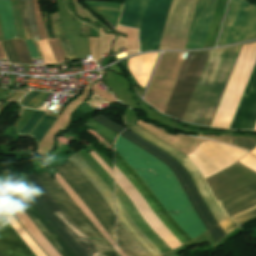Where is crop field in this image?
I'll return each mask as SVG.
<instances>
[{
  "mask_svg": "<svg viewBox=\"0 0 256 256\" xmlns=\"http://www.w3.org/2000/svg\"><path fill=\"white\" fill-rule=\"evenodd\" d=\"M215 1L216 0H198L185 49H198L203 47Z\"/></svg>",
  "mask_w": 256,
  "mask_h": 256,
  "instance_id": "crop-field-14",
  "label": "crop field"
},
{
  "mask_svg": "<svg viewBox=\"0 0 256 256\" xmlns=\"http://www.w3.org/2000/svg\"><path fill=\"white\" fill-rule=\"evenodd\" d=\"M115 149L192 240L207 231L176 177L164 163L120 135Z\"/></svg>",
  "mask_w": 256,
  "mask_h": 256,
  "instance_id": "crop-field-1",
  "label": "crop field"
},
{
  "mask_svg": "<svg viewBox=\"0 0 256 256\" xmlns=\"http://www.w3.org/2000/svg\"><path fill=\"white\" fill-rule=\"evenodd\" d=\"M92 119L96 120L97 122L101 123L102 125L106 126L107 128H109L110 130L114 131L117 134L125 129L100 114Z\"/></svg>",
  "mask_w": 256,
  "mask_h": 256,
  "instance_id": "crop-field-35",
  "label": "crop field"
},
{
  "mask_svg": "<svg viewBox=\"0 0 256 256\" xmlns=\"http://www.w3.org/2000/svg\"><path fill=\"white\" fill-rule=\"evenodd\" d=\"M147 0H125L119 24L140 29Z\"/></svg>",
  "mask_w": 256,
  "mask_h": 256,
  "instance_id": "crop-field-21",
  "label": "crop field"
},
{
  "mask_svg": "<svg viewBox=\"0 0 256 256\" xmlns=\"http://www.w3.org/2000/svg\"><path fill=\"white\" fill-rule=\"evenodd\" d=\"M7 206L4 204V202L1 200L0 198V213L4 210H7ZM11 212V211H10ZM12 213V212H11ZM2 215V213H1ZM12 215L14 216V214L12 213ZM3 216V215H2ZM4 217V216H3ZM15 217V216H14ZM15 219L17 220V218L15 217ZM18 221V220H17ZM19 223V222H18ZM20 224V223H19ZM21 225V224H20ZM22 227V226H21ZM23 228V227H22ZM24 229V228H23ZM25 230V229H24ZM26 231V230H25ZM27 232V231H26ZM31 237V236H30ZM21 238V237H20ZM32 238V237H31ZM22 239V238H21ZM26 244V243H25ZM27 245V244H26ZM38 245V244H37ZM28 246V245H27ZM29 248V247H28ZM30 249V248H29ZM45 253V252H44Z\"/></svg>",
  "mask_w": 256,
  "mask_h": 256,
  "instance_id": "crop-field-46",
  "label": "crop field"
},
{
  "mask_svg": "<svg viewBox=\"0 0 256 256\" xmlns=\"http://www.w3.org/2000/svg\"><path fill=\"white\" fill-rule=\"evenodd\" d=\"M2 104H3V102L0 101V107H1Z\"/></svg>",
  "mask_w": 256,
  "mask_h": 256,
  "instance_id": "crop-field-52",
  "label": "crop field"
},
{
  "mask_svg": "<svg viewBox=\"0 0 256 256\" xmlns=\"http://www.w3.org/2000/svg\"><path fill=\"white\" fill-rule=\"evenodd\" d=\"M239 46L209 51L183 121L209 125Z\"/></svg>",
  "mask_w": 256,
  "mask_h": 256,
  "instance_id": "crop-field-2",
  "label": "crop field"
},
{
  "mask_svg": "<svg viewBox=\"0 0 256 256\" xmlns=\"http://www.w3.org/2000/svg\"><path fill=\"white\" fill-rule=\"evenodd\" d=\"M50 16H51L55 36L59 38L60 43H61L68 59L75 60L76 59L75 52L72 48L70 41L69 40L67 41V39H66L62 24L60 22L59 14L54 13V14H50Z\"/></svg>",
  "mask_w": 256,
  "mask_h": 256,
  "instance_id": "crop-field-29",
  "label": "crop field"
},
{
  "mask_svg": "<svg viewBox=\"0 0 256 256\" xmlns=\"http://www.w3.org/2000/svg\"><path fill=\"white\" fill-rule=\"evenodd\" d=\"M118 246L127 256H148L117 222Z\"/></svg>",
  "mask_w": 256,
  "mask_h": 256,
  "instance_id": "crop-field-28",
  "label": "crop field"
},
{
  "mask_svg": "<svg viewBox=\"0 0 256 256\" xmlns=\"http://www.w3.org/2000/svg\"><path fill=\"white\" fill-rule=\"evenodd\" d=\"M120 135H122L123 137H125L126 139L131 141L132 143L136 144L137 146H139L146 152L150 153L154 157L160 159L173 171L175 176L178 178L183 190L185 191L186 195L188 196L189 200L191 201L193 207L195 208L198 216L203 221L204 225L206 226L209 234L211 235V237L213 238L215 243L222 236L225 235L224 232L222 231V229L217 225L215 220L209 214V212H208L206 206L204 205L201 197L199 196L192 180L190 179V177L188 176V174L186 173L184 168L177 161H175L169 155L158 150L154 146L150 145L144 139H142L138 135L130 132L129 130H125Z\"/></svg>",
  "mask_w": 256,
  "mask_h": 256,
  "instance_id": "crop-field-3",
  "label": "crop field"
},
{
  "mask_svg": "<svg viewBox=\"0 0 256 256\" xmlns=\"http://www.w3.org/2000/svg\"><path fill=\"white\" fill-rule=\"evenodd\" d=\"M256 101V65L230 129H244ZM256 123V103L245 129H253Z\"/></svg>",
  "mask_w": 256,
  "mask_h": 256,
  "instance_id": "crop-field-15",
  "label": "crop field"
},
{
  "mask_svg": "<svg viewBox=\"0 0 256 256\" xmlns=\"http://www.w3.org/2000/svg\"><path fill=\"white\" fill-rule=\"evenodd\" d=\"M40 92L31 91L25 97H23L19 104L22 106L27 105L34 97H36Z\"/></svg>",
  "mask_w": 256,
  "mask_h": 256,
  "instance_id": "crop-field-43",
  "label": "crop field"
},
{
  "mask_svg": "<svg viewBox=\"0 0 256 256\" xmlns=\"http://www.w3.org/2000/svg\"><path fill=\"white\" fill-rule=\"evenodd\" d=\"M44 15H45V24H44V26H45L47 38L48 39L55 38L54 34H53V31H52V28H51V25H50V22H49L47 11L44 12Z\"/></svg>",
  "mask_w": 256,
  "mask_h": 256,
  "instance_id": "crop-field-42",
  "label": "crop field"
},
{
  "mask_svg": "<svg viewBox=\"0 0 256 256\" xmlns=\"http://www.w3.org/2000/svg\"><path fill=\"white\" fill-rule=\"evenodd\" d=\"M49 95H50L49 93L41 92L26 107L36 109Z\"/></svg>",
  "mask_w": 256,
  "mask_h": 256,
  "instance_id": "crop-field-39",
  "label": "crop field"
},
{
  "mask_svg": "<svg viewBox=\"0 0 256 256\" xmlns=\"http://www.w3.org/2000/svg\"><path fill=\"white\" fill-rule=\"evenodd\" d=\"M114 196L117 198L134 225L161 251L162 254L168 250H171V248L163 240H161L141 218L133 204L116 185V183Z\"/></svg>",
  "mask_w": 256,
  "mask_h": 256,
  "instance_id": "crop-field-17",
  "label": "crop field"
},
{
  "mask_svg": "<svg viewBox=\"0 0 256 256\" xmlns=\"http://www.w3.org/2000/svg\"><path fill=\"white\" fill-rule=\"evenodd\" d=\"M20 63L32 64L23 40H12Z\"/></svg>",
  "mask_w": 256,
  "mask_h": 256,
  "instance_id": "crop-field-33",
  "label": "crop field"
},
{
  "mask_svg": "<svg viewBox=\"0 0 256 256\" xmlns=\"http://www.w3.org/2000/svg\"><path fill=\"white\" fill-rule=\"evenodd\" d=\"M90 154L97 160V162L104 168V170L110 175V177L113 179L112 177V171L109 169V167L104 163V161L98 157L92 150L89 151Z\"/></svg>",
  "mask_w": 256,
  "mask_h": 256,
  "instance_id": "crop-field-45",
  "label": "crop field"
},
{
  "mask_svg": "<svg viewBox=\"0 0 256 256\" xmlns=\"http://www.w3.org/2000/svg\"><path fill=\"white\" fill-rule=\"evenodd\" d=\"M9 103L4 102V104L2 105V107L0 108V115L2 114V112L5 110V108L8 106Z\"/></svg>",
  "mask_w": 256,
  "mask_h": 256,
  "instance_id": "crop-field-49",
  "label": "crop field"
},
{
  "mask_svg": "<svg viewBox=\"0 0 256 256\" xmlns=\"http://www.w3.org/2000/svg\"><path fill=\"white\" fill-rule=\"evenodd\" d=\"M114 200L118 211L117 220L121 226L141 245V247L150 256H161L162 254L159 252V250L133 225L115 197Z\"/></svg>",
  "mask_w": 256,
  "mask_h": 256,
  "instance_id": "crop-field-20",
  "label": "crop field"
},
{
  "mask_svg": "<svg viewBox=\"0 0 256 256\" xmlns=\"http://www.w3.org/2000/svg\"><path fill=\"white\" fill-rule=\"evenodd\" d=\"M24 41H25V44H26V47L28 49L30 57L31 58H40L39 54H38V52H37V50L35 48L34 43L31 42V41H26V40H24Z\"/></svg>",
  "mask_w": 256,
  "mask_h": 256,
  "instance_id": "crop-field-41",
  "label": "crop field"
},
{
  "mask_svg": "<svg viewBox=\"0 0 256 256\" xmlns=\"http://www.w3.org/2000/svg\"><path fill=\"white\" fill-rule=\"evenodd\" d=\"M73 165H75L95 186V188L100 192V194L105 198V200L110 205L111 209L115 213V207L112 199V193L103 184V182L97 177V175L77 156V154H72L67 158Z\"/></svg>",
  "mask_w": 256,
  "mask_h": 256,
  "instance_id": "crop-field-24",
  "label": "crop field"
},
{
  "mask_svg": "<svg viewBox=\"0 0 256 256\" xmlns=\"http://www.w3.org/2000/svg\"><path fill=\"white\" fill-rule=\"evenodd\" d=\"M232 144L245 147L249 150L256 147V142L251 141V140L235 139V140L232 141Z\"/></svg>",
  "mask_w": 256,
  "mask_h": 256,
  "instance_id": "crop-field-40",
  "label": "crop field"
},
{
  "mask_svg": "<svg viewBox=\"0 0 256 256\" xmlns=\"http://www.w3.org/2000/svg\"><path fill=\"white\" fill-rule=\"evenodd\" d=\"M218 203L237 226L256 218V182L218 200Z\"/></svg>",
  "mask_w": 256,
  "mask_h": 256,
  "instance_id": "crop-field-13",
  "label": "crop field"
},
{
  "mask_svg": "<svg viewBox=\"0 0 256 256\" xmlns=\"http://www.w3.org/2000/svg\"><path fill=\"white\" fill-rule=\"evenodd\" d=\"M55 178L57 182L61 185V187L66 191V193L72 198V200L79 206V208L85 213V215L90 219V221L94 224V226L105 236V238L109 241L112 247L116 251V246L105 231V229L101 226V224L96 220V218L91 214V212L87 209V207L83 204V202L79 199V197L74 193V191L68 186V184L61 178L58 173H55Z\"/></svg>",
  "mask_w": 256,
  "mask_h": 256,
  "instance_id": "crop-field-27",
  "label": "crop field"
},
{
  "mask_svg": "<svg viewBox=\"0 0 256 256\" xmlns=\"http://www.w3.org/2000/svg\"><path fill=\"white\" fill-rule=\"evenodd\" d=\"M45 114L44 111H41L40 114L37 116V118L34 120V122L29 126V128L22 134V136L27 137L29 133L34 129V127L38 124V122L41 120L43 115Z\"/></svg>",
  "mask_w": 256,
  "mask_h": 256,
  "instance_id": "crop-field-44",
  "label": "crop field"
},
{
  "mask_svg": "<svg viewBox=\"0 0 256 256\" xmlns=\"http://www.w3.org/2000/svg\"><path fill=\"white\" fill-rule=\"evenodd\" d=\"M118 250H119V254L121 255V256H126L125 254H124V252L118 247Z\"/></svg>",
  "mask_w": 256,
  "mask_h": 256,
  "instance_id": "crop-field-51",
  "label": "crop field"
},
{
  "mask_svg": "<svg viewBox=\"0 0 256 256\" xmlns=\"http://www.w3.org/2000/svg\"><path fill=\"white\" fill-rule=\"evenodd\" d=\"M26 1V6H27V12H28V19H29V24L31 28V33H32V38L33 40H40L35 19H34V13H33V7L31 4V0H25Z\"/></svg>",
  "mask_w": 256,
  "mask_h": 256,
  "instance_id": "crop-field-34",
  "label": "crop field"
},
{
  "mask_svg": "<svg viewBox=\"0 0 256 256\" xmlns=\"http://www.w3.org/2000/svg\"><path fill=\"white\" fill-rule=\"evenodd\" d=\"M172 0H148L142 21L140 52L158 50Z\"/></svg>",
  "mask_w": 256,
  "mask_h": 256,
  "instance_id": "crop-field-8",
  "label": "crop field"
},
{
  "mask_svg": "<svg viewBox=\"0 0 256 256\" xmlns=\"http://www.w3.org/2000/svg\"><path fill=\"white\" fill-rule=\"evenodd\" d=\"M27 199L33 204L36 212L41 218L49 225L59 239L65 244V246L72 252L74 256H87L77 242L64 230L54 216L43 205L39 198L34 195L26 196Z\"/></svg>",
  "mask_w": 256,
  "mask_h": 256,
  "instance_id": "crop-field-16",
  "label": "crop field"
},
{
  "mask_svg": "<svg viewBox=\"0 0 256 256\" xmlns=\"http://www.w3.org/2000/svg\"><path fill=\"white\" fill-rule=\"evenodd\" d=\"M56 120L55 117L44 115L42 120L39 122V124L35 127V129L31 132L29 137H32L35 139L37 145L43 138V136L46 134L48 129L51 127V125Z\"/></svg>",
  "mask_w": 256,
  "mask_h": 256,
  "instance_id": "crop-field-31",
  "label": "crop field"
},
{
  "mask_svg": "<svg viewBox=\"0 0 256 256\" xmlns=\"http://www.w3.org/2000/svg\"><path fill=\"white\" fill-rule=\"evenodd\" d=\"M28 233L33 237V239L39 244V246L46 252L48 256H60L57 251L49 244V242L44 238L32 221L27 217L21 207L10 209Z\"/></svg>",
  "mask_w": 256,
  "mask_h": 256,
  "instance_id": "crop-field-23",
  "label": "crop field"
},
{
  "mask_svg": "<svg viewBox=\"0 0 256 256\" xmlns=\"http://www.w3.org/2000/svg\"><path fill=\"white\" fill-rule=\"evenodd\" d=\"M84 125L92 128L94 131H96L100 136H102L105 140H107L110 144L113 145L115 137L117 134H115L114 132L110 131L109 129H107L106 127L102 126L101 124L93 121V120H89L87 121ZM87 127V128H88ZM89 128V129H90ZM91 129V130H92ZM111 145V146H112Z\"/></svg>",
  "mask_w": 256,
  "mask_h": 256,
  "instance_id": "crop-field-32",
  "label": "crop field"
},
{
  "mask_svg": "<svg viewBox=\"0 0 256 256\" xmlns=\"http://www.w3.org/2000/svg\"><path fill=\"white\" fill-rule=\"evenodd\" d=\"M93 241V240H92ZM103 256H117L113 249L108 244L93 241Z\"/></svg>",
  "mask_w": 256,
  "mask_h": 256,
  "instance_id": "crop-field-38",
  "label": "crop field"
},
{
  "mask_svg": "<svg viewBox=\"0 0 256 256\" xmlns=\"http://www.w3.org/2000/svg\"><path fill=\"white\" fill-rule=\"evenodd\" d=\"M193 245H195L194 241H192V242H190V243H187V244H185L184 246H185L186 248H188V247L193 246Z\"/></svg>",
  "mask_w": 256,
  "mask_h": 256,
  "instance_id": "crop-field-50",
  "label": "crop field"
},
{
  "mask_svg": "<svg viewBox=\"0 0 256 256\" xmlns=\"http://www.w3.org/2000/svg\"><path fill=\"white\" fill-rule=\"evenodd\" d=\"M22 209L28 215V217L33 221L41 233L46 237V239L51 243V245L62 255V256H73L68 249L63 245V243L58 239V237L52 232V230L47 226V224L40 218V216L33 210L31 205L22 206Z\"/></svg>",
  "mask_w": 256,
  "mask_h": 256,
  "instance_id": "crop-field-22",
  "label": "crop field"
},
{
  "mask_svg": "<svg viewBox=\"0 0 256 256\" xmlns=\"http://www.w3.org/2000/svg\"><path fill=\"white\" fill-rule=\"evenodd\" d=\"M0 24L5 40L17 38L10 0H0Z\"/></svg>",
  "mask_w": 256,
  "mask_h": 256,
  "instance_id": "crop-field-26",
  "label": "crop field"
},
{
  "mask_svg": "<svg viewBox=\"0 0 256 256\" xmlns=\"http://www.w3.org/2000/svg\"><path fill=\"white\" fill-rule=\"evenodd\" d=\"M115 182L129 197L139 214L160 238H162L172 249L182 245L159 221V219L154 215V213L151 211V209L148 207L136 189L116 167Z\"/></svg>",
  "mask_w": 256,
  "mask_h": 256,
  "instance_id": "crop-field-12",
  "label": "crop field"
},
{
  "mask_svg": "<svg viewBox=\"0 0 256 256\" xmlns=\"http://www.w3.org/2000/svg\"><path fill=\"white\" fill-rule=\"evenodd\" d=\"M53 169L69 184L115 241V215L94 186L69 161Z\"/></svg>",
  "mask_w": 256,
  "mask_h": 256,
  "instance_id": "crop-field-4",
  "label": "crop field"
},
{
  "mask_svg": "<svg viewBox=\"0 0 256 256\" xmlns=\"http://www.w3.org/2000/svg\"><path fill=\"white\" fill-rule=\"evenodd\" d=\"M123 120L126 124V128L128 129L129 127L133 126L132 122H130L129 120H127L126 118L123 117Z\"/></svg>",
  "mask_w": 256,
  "mask_h": 256,
  "instance_id": "crop-field-48",
  "label": "crop field"
},
{
  "mask_svg": "<svg viewBox=\"0 0 256 256\" xmlns=\"http://www.w3.org/2000/svg\"><path fill=\"white\" fill-rule=\"evenodd\" d=\"M77 154L99 176V178L105 183L110 191L113 192V180L101 168V166L84 150L78 151Z\"/></svg>",
  "mask_w": 256,
  "mask_h": 256,
  "instance_id": "crop-field-30",
  "label": "crop field"
},
{
  "mask_svg": "<svg viewBox=\"0 0 256 256\" xmlns=\"http://www.w3.org/2000/svg\"><path fill=\"white\" fill-rule=\"evenodd\" d=\"M18 1H19L20 9H21V15H22L23 25H24V29H25L26 39L32 40L30 28H29V24H28V20H27L25 2H24V0H18Z\"/></svg>",
  "mask_w": 256,
  "mask_h": 256,
  "instance_id": "crop-field-36",
  "label": "crop field"
},
{
  "mask_svg": "<svg viewBox=\"0 0 256 256\" xmlns=\"http://www.w3.org/2000/svg\"><path fill=\"white\" fill-rule=\"evenodd\" d=\"M115 165L127 177V179L138 190L146 203L160 219V221L176 236V238L183 244L192 241L173 221L170 215L162 208L158 200L144 185L137 174L123 161L120 155L115 150Z\"/></svg>",
  "mask_w": 256,
  "mask_h": 256,
  "instance_id": "crop-field-10",
  "label": "crop field"
},
{
  "mask_svg": "<svg viewBox=\"0 0 256 256\" xmlns=\"http://www.w3.org/2000/svg\"><path fill=\"white\" fill-rule=\"evenodd\" d=\"M32 187L37 193L40 200L50 210V212L57 218L60 224L66 229V231L78 242L82 249L88 256H102L87 236L81 232L72 221L65 215L60 207L52 199L51 195L46 191L37 175L26 174Z\"/></svg>",
  "mask_w": 256,
  "mask_h": 256,
  "instance_id": "crop-field-11",
  "label": "crop field"
},
{
  "mask_svg": "<svg viewBox=\"0 0 256 256\" xmlns=\"http://www.w3.org/2000/svg\"><path fill=\"white\" fill-rule=\"evenodd\" d=\"M209 50L189 52L165 114L181 120Z\"/></svg>",
  "mask_w": 256,
  "mask_h": 256,
  "instance_id": "crop-field-6",
  "label": "crop field"
},
{
  "mask_svg": "<svg viewBox=\"0 0 256 256\" xmlns=\"http://www.w3.org/2000/svg\"><path fill=\"white\" fill-rule=\"evenodd\" d=\"M38 176L57 204L81 231H83L90 239L108 243L103 235L93 226L84 213L72 202L53 178H50L47 173Z\"/></svg>",
  "mask_w": 256,
  "mask_h": 256,
  "instance_id": "crop-field-9",
  "label": "crop field"
},
{
  "mask_svg": "<svg viewBox=\"0 0 256 256\" xmlns=\"http://www.w3.org/2000/svg\"><path fill=\"white\" fill-rule=\"evenodd\" d=\"M129 129H131L132 131H134L135 133L140 135L142 138L147 140L149 143H151L155 147L159 148L163 152L172 156L185 168V170L187 171V173L193 180L195 186L197 187L210 214L213 216V218L216 220V222L219 224V226L224 230V232L226 234L229 233L231 230H233L235 227H237L223 213L222 209L220 208L217 201L215 200V198H214L206 180L204 179L203 175L201 174L200 170L196 167V165L187 156L181 154L180 152L169 147L168 145L155 139L154 137L149 135L147 132H145L144 130H142L136 126H133Z\"/></svg>",
  "mask_w": 256,
  "mask_h": 256,
  "instance_id": "crop-field-5",
  "label": "crop field"
},
{
  "mask_svg": "<svg viewBox=\"0 0 256 256\" xmlns=\"http://www.w3.org/2000/svg\"><path fill=\"white\" fill-rule=\"evenodd\" d=\"M87 6L97 15L107 20L112 26H116L121 7L120 4H114L101 1L85 0Z\"/></svg>",
  "mask_w": 256,
  "mask_h": 256,
  "instance_id": "crop-field-25",
  "label": "crop field"
},
{
  "mask_svg": "<svg viewBox=\"0 0 256 256\" xmlns=\"http://www.w3.org/2000/svg\"><path fill=\"white\" fill-rule=\"evenodd\" d=\"M5 53L10 62H18L11 40L2 42Z\"/></svg>",
  "mask_w": 256,
  "mask_h": 256,
  "instance_id": "crop-field-37",
  "label": "crop field"
},
{
  "mask_svg": "<svg viewBox=\"0 0 256 256\" xmlns=\"http://www.w3.org/2000/svg\"><path fill=\"white\" fill-rule=\"evenodd\" d=\"M255 130H256V126H255V128H254Z\"/></svg>",
  "mask_w": 256,
  "mask_h": 256,
  "instance_id": "crop-field-53",
  "label": "crop field"
},
{
  "mask_svg": "<svg viewBox=\"0 0 256 256\" xmlns=\"http://www.w3.org/2000/svg\"><path fill=\"white\" fill-rule=\"evenodd\" d=\"M254 37H256V5L232 0L219 45Z\"/></svg>",
  "mask_w": 256,
  "mask_h": 256,
  "instance_id": "crop-field-7",
  "label": "crop field"
},
{
  "mask_svg": "<svg viewBox=\"0 0 256 256\" xmlns=\"http://www.w3.org/2000/svg\"><path fill=\"white\" fill-rule=\"evenodd\" d=\"M158 54L148 53L128 59L129 71L138 85L146 87Z\"/></svg>",
  "mask_w": 256,
  "mask_h": 256,
  "instance_id": "crop-field-19",
  "label": "crop field"
},
{
  "mask_svg": "<svg viewBox=\"0 0 256 256\" xmlns=\"http://www.w3.org/2000/svg\"><path fill=\"white\" fill-rule=\"evenodd\" d=\"M0 252L5 256H33L17 234L0 215ZM0 253V256H4Z\"/></svg>",
  "mask_w": 256,
  "mask_h": 256,
  "instance_id": "crop-field-18",
  "label": "crop field"
},
{
  "mask_svg": "<svg viewBox=\"0 0 256 256\" xmlns=\"http://www.w3.org/2000/svg\"><path fill=\"white\" fill-rule=\"evenodd\" d=\"M35 113V112H34ZM33 113V114H34ZM39 114V111H36V113L33 115V117L30 119V121L18 132V134H22L26 129H27V127L33 122V120L36 118V116Z\"/></svg>",
  "mask_w": 256,
  "mask_h": 256,
  "instance_id": "crop-field-47",
  "label": "crop field"
}]
</instances>
